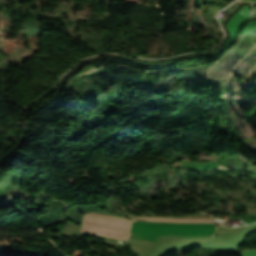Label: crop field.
Returning <instances> with one entry per match:
<instances>
[{"instance_id": "1", "label": "crop field", "mask_w": 256, "mask_h": 256, "mask_svg": "<svg viewBox=\"0 0 256 256\" xmlns=\"http://www.w3.org/2000/svg\"><path fill=\"white\" fill-rule=\"evenodd\" d=\"M132 221L105 214L89 213L84 216L80 232L128 241Z\"/></svg>"}, {"instance_id": "2", "label": "crop field", "mask_w": 256, "mask_h": 256, "mask_svg": "<svg viewBox=\"0 0 256 256\" xmlns=\"http://www.w3.org/2000/svg\"><path fill=\"white\" fill-rule=\"evenodd\" d=\"M145 220H165V221H213L212 219H163V218H137Z\"/></svg>"}, {"instance_id": "3", "label": "crop field", "mask_w": 256, "mask_h": 256, "mask_svg": "<svg viewBox=\"0 0 256 256\" xmlns=\"http://www.w3.org/2000/svg\"><path fill=\"white\" fill-rule=\"evenodd\" d=\"M241 254L242 256H256V250L244 251Z\"/></svg>"}]
</instances>
